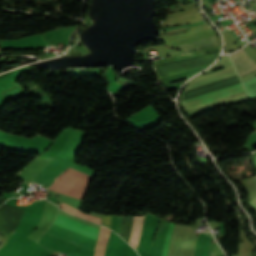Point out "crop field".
<instances>
[{"mask_svg": "<svg viewBox=\"0 0 256 256\" xmlns=\"http://www.w3.org/2000/svg\"><path fill=\"white\" fill-rule=\"evenodd\" d=\"M56 182H58V181H56ZM56 182H54V183L52 184V186L50 187V189L56 190V191H58V192H61V193H64V194H67V195H70V196H73V197H75V198H78V199H81V200H82V198H83V196H84V194H85V192H86L85 190H82V189H79V188H76V187L71 186V187H73V188H76V189L85 191V192H82V191H79V190H76V189H73V188L68 187V186H70V185L65 186V185H67V184L62 185V184H64V183L59 184V183H61V182H59V183H56Z\"/></svg>", "mask_w": 256, "mask_h": 256, "instance_id": "obj_2", "label": "crop field"}, {"mask_svg": "<svg viewBox=\"0 0 256 256\" xmlns=\"http://www.w3.org/2000/svg\"><path fill=\"white\" fill-rule=\"evenodd\" d=\"M110 230L101 226L100 235L95 249V256H104V251L109 238Z\"/></svg>", "mask_w": 256, "mask_h": 256, "instance_id": "obj_3", "label": "crop field"}, {"mask_svg": "<svg viewBox=\"0 0 256 256\" xmlns=\"http://www.w3.org/2000/svg\"><path fill=\"white\" fill-rule=\"evenodd\" d=\"M174 226H175V224L171 222V224L169 226V229L167 231V234H166V238H165V242H164V246H163L162 256H167L168 243H169L170 236H171V233L173 231Z\"/></svg>", "mask_w": 256, "mask_h": 256, "instance_id": "obj_5", "label": "crop field"}, {"mask_svg": "<svg viewBox=\"0 0 256 256\" xmlns=\"http://www.w3.org/2000/svg\"><path fill=\"white\" fill-rule=\"evenodd\" d=\"M121 222H122V217H119L118 219V228H117V233L120 235L121 231Z\"/></svg>", "mask_w": 256, "mask_h": 256, "instance_id": "obj_6", "label": "crop field"}, {"mask_svg": "<svg viewBox=\"0 0 256 256\" xmlns=\"http://www.w3.org/2000/svg\"><path fill=\"white\" fill-rule=\"evenodd\" d=\"M54 224L59 225V226H61V227H64V228H66V229H69V230H71V231H74V232H76V233H79V234H81V235H84V236H86V237H89V238L94 239V240L97 241L98 234H99V230L96 229V228H93V227H91V226L85 225V224H83V223H80V222L75 221V220H73V219L67 218V217L62 216V215H60V214L58 215V217H57L56 221L54 222ZM54 224H52L51 228L56 229V230H59V231H61V232H64V233H66V234L72 235V236H74V237L80 238V239H82V240H85V241H87V242H90V243H93V244L96 245V241L91 240V239H89V238H86V237H84V236H81V235H79V234H76V233H74V232H71V231H69V230H66V229H64V228H61V227H59V226H56V225H54ZM51 228H49V229L47 230V233L52 234V235H55V236H57V237H60V238H62V239H65V240H67V241L73 242V243H75V244H78V245H80V246H83V247H85V248H88V249H91V250L94 251L95 245L90 244V243H87V242L82 241V240H80V239L74 238V237H72V236L66 235V234L61 233V232H59V231L53 230V229H51Z\"/></svg>", "mask_w": 256, "mask_h": 256, "instance_id": "obj_1", "label": "crop field"}, {"mask_svg": "<svg viewBox=\"0 0 256 256\" xmlns=\"http://www.w3.org/2000/svg\"><path fill=\"white\" fill-rule=\"evenodd\" d=\"M144 216L134 217V220H133V226H132L129 244H131L134 248L136 247V245L139 241Z\"/></svg>", "mask_w": 256, "mask_h": 256, "instance_id": "obj_4", "label": "crop field"}]
</instances>
